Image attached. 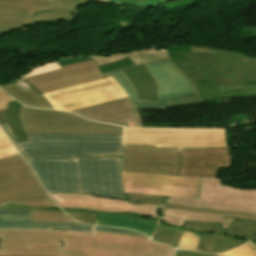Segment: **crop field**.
Returning <instances> with one entry per match:
<instances>
[{"label": "crop field", "instance_id": "obj_18", "mask_svg": "<svg viewBox=\"0 0 256 256\" xmlns=\"http://www.w3.org/2000/svg\"><path fill=\"white\" fill-rule=\"evenodd\" d=\"M123 72L136 88L139 99L156 100L155 81L143 65L123 70Z\"/></svg>", "mask_w": 256, "mask_h": 256}, {"label": "crop field", "instance_id": "obj_25", "mask_svg": "<svg viewBox=\"0 0 256 256\" xmlns=\"http://www.w3.org/2000/svg\"><path fill=\"white\" fill-rule=\"evenodd\" d=\"M31 221L78 223L65 213L32 211Z\"/></svg>", "mask_w": 256, "mask_h": 256}, {"label": "crop field", "instance_id": "obj_28", "mask_svg": "<svg viewBox=\"0 0 256 256\" xmlns=\"http://www.w3.org/2000/svg\"><path fill=\"white\" fill-rule=\"evenodd\" d=\"M15 154H18V152L0 128V158L9 157Z\"/></svg>", "mask_w": 256, "mask_h": 256}, {"label": "crop field", "instance_id": "obj_39", "mask_svg": "<svg viewBox=\"0 0 256 256\" xmlns=\"http://www.w3.org/2000/svg\"><path fill=\"white\" fill-rule=\"evenodd\" d=\"M0 228H7V229H30V228H12V227H0Z\"/></svg>", "mask_w": 256, "mask_h": 256}, {"label": "crop field", "instance_id": "obj_10", "mask_svg": "<svg viewBox=\"0 0 256 256\" xmlns=\"http://www.w3.org/2000/svg\"><path fill=\"white\" fill-rule=\"evenodd\" d=\"M122 179L125 194H154L197 198L201 177L122 172Z\"/></svg>", "mask_w": 256, "mask_h": 256}, {"label": "crop field", "instance_id": "obj_3", "mask_svg": "<svg viewBox=\"0 0 256 256\" xmlns=\"http://www.w3.org/2000/svg\"><path fill=\"white\" fill-rule=\"evenodd\" d=\"M0 237V255L173 256L175 251L146 237L100 232L0 230Z\"/></svg>", "mask_w": 256, "mask_h": 256}, {"label": "crop field", "instance_id": "obj_36", "mask_svg": "<svg viewBox=\"0 0 256 256\" xmlns=\"http://www.w3.org/2000/svg\"><path fill=\"white\" fill-rule=\"evenodd\" d=\"M0 209L54 211V210L28 208L23 206H0ZM56 212H63V211H56Z\"/></svg>", "mask_w": 256, "mask_h": 256}, {"label": "crop field", "instance_id": "obj_27", "mask_svg": "<svg viewBox=\"0 0 256 256\" xmlns=\"http://www.w3.org/2000/svg\"><path fill=\"white\" fill-rule=\"evenodd\" d=\"M216 256H256V244L249 242L235 250L228 251Z\"/></svg>", "mask_w": 256, "mask_h": 256}, {"label": "crop field", "instance_id": "obj_17", "mask_svg": "<svg viewBox=\"0 0 256 256\" xmlns=\"http://www.w3.org/2000/svg\"><path fill=\"white\" fill-rule=\"evenodd\" d=\"M31 211L0 210V226L31 227V229L93 231V226L68 223L30 222Z\"/></svg>", "mask_w": 256, "mask_h": 256}, {"label": "crop field", "instance_id": "obj_6", "mask_svg": "<svg viewBox=\"0 0 256 256\" xmlns=\"http://www.w3.org/2000/svg\"><path fill=\"white\" fill-rule=\"evenodd\" d=\"M144 66L156 81L157 101L138 100V95L133 85L121 71L123 69L135 67V65L103 74L104 76L111 74L130 97L138 126H141V123L137 108L165 109V105L181 103L183 102L182 98L194 96L189 82L167 59L147 63L144 64Z\"/></svg>", "mask_w": 256, "mask_h": 256}, {"label": "crop field", "instance_id": "obj_2", "mask_svg": "<svg viewBox=\"0 0 256 256\" xmlns=\"http://www.w3.org/2000/svg\"><path fill=\"white\" fill-rule=\"evenodd\" d=\"M64 210L117 214L171 226L184 221L221 224L224 233L236 219L256 221V189L222 185L221 177H202L198 199L171 196L127 195L128 201L92 194H50Z\"/></svg>", "mask_w": 256, "mask_h": 256}, {"label": "crop field", "instance_id": "obj_29", "mask_svg": "<svg viewBox=\"0 0 256 256\" xmlns=\"http://www.w3.org/2000/svg\"><path fill=\"white\" fill-rule=\"evenodd\" d=\"M168 60H169V61L173 64V66L191 83V86H192V89H193V92H194L195 97L184 99L185 103L175 104V105H169V106H166V107L182 106V105H189V104H195V103H202V102H204V101H200L194 83H192V82L183 74V72L176 66V64H174L170 59H168Z\"/></svg>", "mask_w": 256, "mask_h": 256}, {"label": "crop field", "instance_id": "obj_19", "mask_svg": "<svg viewBox=\"0 0 256 256\" xmlns=\"http://www.w3.org/2000/svg\"><path fill=\"white\" fill-rule=\"evenodd\" d=\"M170 59L184 72V74L194 83L210 80L205 73L187 60L179 52H190V46L167 47Z\"/></svg>", "mask_w": 256, "mask_h": 256}, {"label": "crop field", "instance_id": "obj_43", "mask_svg": "<svg viewBox=\"0 0 256 256\" xmlns=\"http://www.w3.org/2000/svg\"><path fill=\"white\" fill-rule=\"evenodd\" d=\"M0 240H1V238H0Z\"/></svg>", "mask_w": 256, "mask_h": 256}, {"label": "crop field", "instance_id": "obj_23", "mask_svg": "<svg viewBox=\"0 0 256 256\" xmlns=\"http://www.w3.org/2000/svg\"><path fill=\"white\" fill-rule=\"evenodd\" d=\"M20 103L12 101L8 104V109L6 111V122L12 132L16 137L18 142L27 140L24 135L19 122H18V113H19Z\"/></svg>", "mask_w": 256, "mask_h": 256}, {"label": "crop field", "instance_id": "obj_4", "mask_svg": "<svg viewBox=\"0 0 256 256\" xmlns=\"http://www.w3.org/2000/svg\"><path fill=\"white\" fill-rule=\"evenodd\" d=\"M125 171L186 176H216L220 168L232 167L229 147L153 148L123 145Z\"/></svg>", "mask_w": 256, "mask_h": 256}, {"label": "crop field", "instance_id": "obj_31", "mask_svg": "<svg viewBox=\"0 0 256 256\" xmlns=\"http://www.w3.org/2000/svg\"><path fill=\"white\" fill-rule=\"evenodd\" d=\"M129 65H133V63L131 62V60L129 58H127V59L120 60V61H117V62H114V63L101 65L99 67H100L102 73H104V72H108V71L115 70V69H118V68L126 67V66H129Z\"/></svg>", "mask_w": 256, "mask_h": 256}, {"label": "crop field", "instance_id": "obj_21", "mask_svg": "<svg viewBox=\"0 0 256 256\" xmlns=\"http://www.w3.org/2000/svg\"><path fill=\"white\" fill-rule=\"evenodd\" d=\"M127 57H129L132 60V62L136 66H138L147 62L166 59L168 58V55L165 48H161V49H155V50L133 52V53H129L121 56L95 58V60L97 61L98 65H101V64L117 61L123 58H127Z\"/></svg>", "mask_w": 256, "mask_h": 256}, {"label": "crop field", "instance_id": "obj_30", "mask_svg": "<svg viewBox=\"0 0 256 256\" xmlns=\"http://www.w3.org/2000/svg\"><path fill=\"white\" fill-rule=\"evenodd\" d=\"M114 3H124L137 6H153L166 0H106Z\"/></svg>", "mask_w": 256, "mask_h": 256}, {"label": "crop field", "instance_id": "obj_32", "mask_svg": "<svg viewBox=\"0 0 256 256\" xmlns=\"http://www.w3.org/2000/svg\"><path fill=\"white\" fill-rule=\"evenodd\" d=\"M95 231L101 232H113V233H122V234H130V235H138V236H145L135 231L114 228V227H103V226H95ZM147 237V236H146Z\"/></svg>", "mask_w": 256, "mask_h": 256}, {"label": "crop field", "instance_id": "obj_14", "mask_svg": "<svg viewBox=\"0 0 256 256\" xmlns=\"http://www.w3.org/2000/svg\"><path fill=\"white\" fill-rule=\"evenodd\" d=\"M62 69L24 78L41 93L102 79L94 60L62 66Z\"/></svg>", "mask_w": 256, "mask_h": 256}, {"label": "crop field", "instance_id": "obj_12", "mask_svg": "<svg viewBox=\"0 0 256 256\" xmlns=\"http://www.w3.org/2000/svg\"><path fill=\"white\" fill-rule=\"evenodd\" d=\"M220 225L185 222V229L202 232L196 251L220 253L242 245L256 236V222L236 219L224 234H217Z\"/></svg>", "mask_w": 256, "mask_h": 256}, {"label": "crop field", "instance_id": "obj_5", "mask_svg": "<svg viewBox=\"0 0 256 256\" xmlns=\"http://www.w3.org/2000/svg\"><path fill=\"white\" fill-rule=\"evenodd\" d=\"M181 54L213 79L195 84L201 100L256 97V58L222 49Z\"/></svg>", "mask_w": 256, "mask_h": 256}, {"label": "crop field", "instance_id": "obj_20", "mask_svg": "<svg viewBox=\"0 0 256 256\" xmlns=\"http://www.w3.org/2000/svg\"><path fill=\"white\" fill-rule=\"evenodd\" d=\"M95 224L105 225V226H115L123 227L127 229H132L140 232H144L147 235L151 236L155 228V224L117 216V215H105L97 214Z\"/></svg>", "mask_w": 256, "mask_h": 256}, {"label": "crop field", "instance_id": "obj_40", "mask_svg": "<svg viewBox=\"0 0 256 256\" xmlns=\"http://www.w3.org/2000/svg\"><path fill=\"white\" fill-rule=\"evenodd\" d=\"M4 1H16V2H19L20 0H4Z\"/></svg>", "mask_w": 256, "mask_h": 256}, {"label": "crop field", "instance_id": "obj_41", "mask_svg": "<svg viewBox=\"0 0 256 256\" xmlns=\"http://www.w3.org/2000/svg\"><path fill=\"white\" fill-rule=\"evenodd\" d=\"M4 256H15V255H4Z\"/></svg>", "mask_w": 256, "mask_h": 256}, {"label": "crop field", "instance_id": "obj_13", "mask_svg": "<svg viewBox=\"0 0 256 256\" xmlns=\"http://www.w3.org/2000/svg\"><path fill=\"white\" fill-rule=\"evenodd\" d=\"M51 11L34 12L37 16L28 15L13 8H0V34L20 29L36 23L75 20L73 12L84 1L88 0H45ZM106 3L101 0H94Z\"/></svg>", "mask_w": 256, "mask_h": 256}, {"label": "crop field", "instance_id": "obj_35", "mask_svg": "<svg viewBox=\"0 0 256 256\" xmlns=\"http://www.w3.org/2000/svg\"><path fill=\"white\" fill-rule=\"evenodd\" d=\"M11 100L14 99L0 90V110H5L7 108V103Z\"/></svg>", "mask_w": 256, "mask_h": 256}, {"label": "crop field", "instance_id": "obj_22", "mask_svg": "<svg viewBox=\"0 0 256 256\" xmlns=\"http://www.w3.org/2000/svg\"><path fill=\"white\" fill-rule=\"evenodd\" d=\"M182 230L183 229L180 228L163 225L162 222L159 221L158 227L152 237V240L163 242L176 247Z\"/></svg>", "mask_w": 256, "mask_h": 256}, {"label": "crop field", "instance_id": "obj_42", "mask_svg": "<svg viewBox=\"0 0 256 256\" xmlns=\"http://www.w3.org/2000/svg\"><path fill=\"white\" fill-rule=\"evenodd\" d=\"M254 241H256V239Z\"/></svg>", "mask_w": 256, "mask_h": 256}, {"label": "crop field", "instance_id": "obj_15", "mask_svg": "<svg viewBox=\"0 0 256 256\" xmlns=\"http://www.w3.org/2000/svg\"><path fill=\"white\" fill-rule=\"evenodd\" d=\"M70 112L105 123L137 126L134 111L128 97Z\"/></svg>", "mask_w": 256, "mask_h": 256}, {"label": "crop field", "instance_id": "obj_7", "mask_svg": "<svg viewBox=\"0 0 256 256\" xmlns=\"http://www.w3.org/2000/svg\"><path fill=\"white\" fill-rule=\"evenodd\" d=\"M56 207L36 174L20 154L0 160V204Z\"/></svg>", "mask_w": 256, "mask_h": 256}, {"label": "crop field", "instance_id": "obj_1", "mask_svg": "<svg viewBox=\"0 0 256 256\" xmlns=\"http://www.w3.org/2000/svg\"><path fill=\"white\" fill-rule=\"evenodd\" d=\"M1 127L48 193H93L127 200L120 173L122 136L45 134L17 143L8 126Z\"/></svg>", "mask_w": 256, "mask_h": 256}, {"label": "crop field", "instance_id": "obj_11", "mask_svg": "<svg viewBox=\"0 0 256 256\" xmlns=\"http://www.w3.org/2000/svg\"><path fill=\"white\" fill-rule=\"evenodd\" d=\"M106 77L43 95L55 109L66 111L127 96L111 75Z\"/></svg>", "mask_w": 256, "mask_h": 256}, {"label": "crop field", "instance_id": "obj_9", "mask_svg": "<svg viewBox=\"0 0 256 256\" xmlns=\"http://www.w3.org/2000/svg\"><path fill=\"white\" fill-rule=\"evenodd\" d=\"M123 144L154 147L229 146L226 129L124 128Z\"/></svg>", "mask_w": 256, "mask_h": 256}, {"label": "crop field", "instance_id": "obj_33", "mask_svg": "<svg viewBox=\"0 0 256 256\" xmlns=\"http://www.w3.org/2000/svg\"><path fill=\"white\" fill-rule=\"evenodd\" d=\"M93 58L91 57H85V58H67V59H63L60 61H57L59 66L62 65H66V64H71V63H75V62H80V61H86V60H91Z\"/></svg>", "mask_w": 256, "mask_h": 256}, {"label": "crop field", "instance_id": "obj_8", "mask_svg": "<svg viewBox=\"0 0 256 256\" xmlns=\"http://www.w3.org/2000/svg\"><path fill=\"white\" fill-rule=\"evenodd\" d=\"M19 122L25 135L45 133L122 135V127L92 122L70 113L22 105Z\"/></svg>", "mask_w": 256, "mask_h": 256}, {"label": "crop field", "instance_id": "obj_37", "mask_svg": "<svg viewBox=\"0 0 256 256\" xmlns=\"http://www.w3.org/2000/svg\"><path fill=\"white\" fill-rule=\"evenodd\" d=\"M176 256H214V255L177 250Z\"/></svg>", "mask_w": 256, "mask_h": 256}, {"label": "crop field", "instance_id": "obj_26", "mask_svg": "<svg viewBox=\"0 0 256 256\" xmlns=\"http://www.w3.org/2000/svg\"><path fill=\"white\" fill-rule=\"evenodd\" d=\"M201 233H194L188 230H183L180 240L176 248L196 250Z\"/></svg>", "mask_w": 256, "mask_h": 256}, {"label": "crop field", "instance_id": "obj_38", "mask_svg": "<svg viewBox=\"0 0 256 256\" xmlns=\"http://www.w3.org/2000/svg\"><path fill=\"white\" fill-rule=\"evenodd\" d=\"M5 123V111H0V124Z\"/></svg>", "mask_w": 256, "mask_h": 256}, {"label": "crop field", "instance_id": "obj_16", "mask_svg": "<svg viewBox=\"0 0 256 256\" xmlns=\"http://www.w3.org/2000/svg\"><path fill=\"white\" fill-rule=\"evenodd\" d=\"M60 68L56 62H52L46 65H43L35 70H33L31 73H29L27 76L54 70ZM1 88L17 99L18 101L28 105V106H34V107H41V108H50L53 109L50 102L39 92H37L34 88H32L27 82H25L23 79H20L18 81H15L9 85L1 86Z\"/></svg>", "mask_w": 256, "mask_h": 256}, {"label": "crop field", "instance_id": "obj_24", "mask_svg": "<svg viewBox=\"0 0 256 256\" xmlns=\"http://www.w3.org/2000/svg\"><path fill=\"white\" fill-rule=\"evenodd\" d=\"M0 7H14L31 15H34L31 13L34 11L50 10L44 0H21L19 3L0 1Z\"/></svg>", "mask_w": 256, "mask_h": 256}, {"label": "crop field", "instance_id": "obj_34", "mask_svg": "<svg viewBox=\"0 0 256 256\" xmlns=\"http://www.w3.org/2000/svg\"><path fill=\"white\" fill-rule=\"evenodd\" d=\"M217 49L205 46H191V52H204L215 54Z\"/></svg>", "mask_w": 256, "mask_h": 256}]
</instances>
